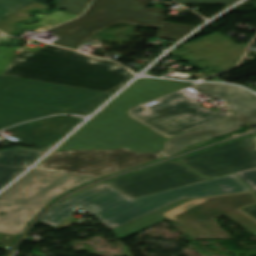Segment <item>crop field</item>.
<instances>
[{"label":"crop field","instance_id":"crop-field-1","mask_svg":"<svg viewBox=\"0 0 256 256\" xmlns=\"http://www.w3.org/2000/svg\"><path fill=\"white\" fill-rule=\"evenodd\" d=\"M247 191L248 188L235 175L134 199L128 198L105 183L56 205L40 220L44 224L57 226L80 207L95 214L109 228L114 229L181 198H200Z\"/></svg>","mask_w":256,"mask_h":256},{"label":"crop field","instance_id":"crop-field-2","mask_svg":"<svg viewBox=\"0 0 256 256\" xmlns=\"http://www.w3.org/2000/svg\"><path fill=\"white\" fill-rule=\"evenodd\" d=\"M136 82V81H135ZM194 83L139 79L113 100L60 150L130 147L136 152L162 149L167 139L126 115L130 107L185 88Z\"/></svg>","mask_w":256,"mask_h":256},{"label":"crop field","instance_id":"crop-field-3","mask_svg":"<svg viewBox=\"0 0 256 256\" xmlns=\"http://www.w3.org/2000/svg\"><path fill=\"white\" fill-rule=\"evenodd\" d=\"M1 75L111 94L133 76L110 61L49 45L13 54Z\"/></svg>","mask_w":256,"mask_h":256},{"label":"crop field","instance_id":"crop-field-4","mask_svg":"<svg viewBox=\"0 0 256 256\" xmlns=\"http://www.w3.org/2000/svg\"><path fill=\"white\" fill-rule=\"evenodd\" d=\"M109 96L0 75V129L51 113L86 115Z\"/></svg>","mask_w":256,"mask_h":256},{"label":"crop field","instance_id":"crop-field-5","mask_svg":"<svg viewBox=\"0 0 256 256\" xmlns=\"http://www.w3.org/2000/svg\"><path fill=\"white\" fill-rule=\"evenodd\" d=\"M93 179L33 169L0 195V233L21 235L51 200Z\"/></svg>","mask_w":256,"mask_h":256},{"label":"crop field","instance_id":"crop-field-6","mask_svg":"<svg viewBox=\"0 0 256 256\" xmlns=\"http://www.w3.org/2000/svg\"><path fill=\"white\" fill-rule=\"evenodd\" d=\"M256 204L252 192L191 200L163 215L177 221L190 233L192 239H233L220 229L214 218L227 216L256 235V220L239 209Z\"/></svg>","mask_w":256,"mask_h":256},{"label":"crop field","instance_id":"crop-field-7","mask_svg":"<svg viewBox=\"0 0 256 256\" xmlns=\"http://www.w3.org/2000/svg\"><path fill=\"white\" fill-rule=\"evenodd\" d=\"M148 2L149 0H93L81 18L49 30L62 35L52 44L80 51L82 41L91 35L85 28L94 25L108 26L119 21L160 27L164 8H146Z\"/></svg>","mask_w":256,"mask_h":256},{"label":"crop field","instance_id":"crop-field-8","mask_svg":"<svg viewBox=\"0 0 256 256\" xmlns=\"http://www.w3.org/2000/svg\"><path fill=\"white\" fill-rule=\"evenodd\" d=\"M127 115L169 138L231 114L202 108L193 101L192 93L184 89L159 99L156 104L130 108Z\"/></svg>","mask_w":256,"mask_h":256},{"label":"crop field","instance_id":"crop-field-9","mask_svg":"<svg viewBox=\"0 0 256 256\" xmlns=\"http://www.w3.org/2000/svg\"><path fill=\"white\" fill-rule=\"evenodd\" d=\"M215 86L219 87L220 89L215 91L202 83L197 84L193 88L213 99L221 98L229 102L230 104L226 107L234 110L238 114L183 135L171 138L164 143V150L160 151L159 153L165 157H168L181 151L188 145L235 131L240 129L242 124L256 122V95L236 86L220 84H215Z\"/></svg>","mask_w":256,"mask_h":256},{"label":"crop field","instance_id":"crop-field-10","mask_svg":"<svg viewBox=\"0 0 256 256\" xmlns=\"http://www.w3.org/2000/svg\"><path fill=\"white\" fill-rule=\"evenodd\" d=\"M159 158L162 156L157 153L138 154L125 148L110 151H59L36 168L100 178Z\"/></svg>","mask_w":256,"mask_h":256},{"label":"crop field","instance_id":"crop-field-11","mask_svg":"<svg viewBox=\"0 0 256 256\" xmlns=\"http://www.w3.org/2000/svg\"><path fill=\"white\" fill-rule=\"evenodd\" d=\"M197 173L214 178L256 167L254 138L244 139L179 160Z\"/></svg>","mask_w":256,"mask_h":256},{"label":"crop field","instance_id":"crop-field-12","mask_svg":"<svg viewBox=\"0 0 256 256\" xmlns=\"http://www.w3.org/2000/svg\"><path fill=\"white\" fill-rule=\"evenodd\" d=\"M203 180L177 161L153 167L108 182L130 198L143 196Z\"/></svg>","mask_w":256,"mask_h":256},{"label":"crop field","instance_id":"crop-field-13","mask_svg":"<svg viewBox=\"0 0 256 256\" xmlns=\"http://www.w3.org/2000/svg\"><path fill=\"white\" fill-rule=\"evenodd\" d=\"M81 119L55 116L5 130L14 133L12 137L30 143L36 148H46L59 139ZM73 128V127H72Z\"/></svg>","mask_w":256,"mask_h":256},{"label":"crop field","instance_id":"crop-field-14","mask_svg":"<svg viewBox=\"0 0 256 256\" xmlns=\"http://www.w3.org/2000/svg\"><path fill=\"white\" fill-rule=\"evenodd\" d=\"M223 37L224 35L215 32L181 47L225 70L239 62L244 49L224 40Z\"/></svg>","mask_w":256,"mask_h":256},{"label":"crop field","instance_id":"crop-field-15","mask_svg":"<svg viewBox=\"0 0 256 256\" xmlns=\"http://www.w3.org/2000/svg\"><path fill=\"white\" fill-rule=\"evenodd\" d=\"M48 8L29 0H0V30L10 34L15 32L16 22L31 20V10L46 11Z\"/></svg>","mask_w":256,"mask_h":256},{"label":"crop field","instance_id":"crop-field-16","mask_svg":"<svg viewBox=\"0 0 256 256\" xmlns=\"http://www.w3.org/2000/svg\"><path fill=\"white\" fill-rule=\"evenodd\" d=\"M42 151L19 148L0 152V187L36 159Z\"/></svg>","mask_w":256,"mask_h":256},{"label":"crop field","instance_id":"crop-field-17","mask_svg":"<svg viewBox=\"0 0 256 256\" xmlns=\"http://www.w3.org/2000/svg\"><path fill=\"white\" fill-rule=\"evenodd\" d=\"M189 200H191V199H181V200H179L175 203H172L166 207H163V208L153 211L147 215H144L140 218H137L131 222H128V223L114 229L113 231L119 239H122L130 234H133L143 228H146L154 223H157V222L165 219V217L162 215V213H164L176 206H179Z\"/></svg>","mask_w":256,"mask_h":256},{"label":"crop field","instance_id":"crop-field-18","mask_svg":"<svg viewBox=\"0 0 256 256\" xmlns=\"http://www.w3.org/2000/svg\"><path fill=\"white\" fill-rule=\"evenodd\" d=\"M36 15L40 19L38 23L23 25L21 27L41 32L57 24H60L62 22H65L67 20L77 17V16H73V15L62 13L55 10H53L50 15H43L39 13H36Z\"/></svg>","mask_w":256,"mask_h":256},{"label":"crop field","instance_id":"crop-field-19","mask_svg":"<svg viewBox=\"0 0 256 256\" xmlns=\"http://www.w3.org/2000/svg\"><path fill=\"white\" fill-rule=\"evenodd\" d=\"M192 28V26L163 22L156 37L177 40Z\"/></svg>","mask_w":256,"mask_h":256},{"label":"crop field","instance_id":"crop-field-20","mask_svg":"<svg viewBox=\"0 0 256 256\" xmlns=\"http://www.w3.org/2000/svg\"><path fill=\"white\" fill-rule=\"evenodd\" d=\"M90 0H58L56 7L64 9L69 13L80 15Z\"/></svg>","mask_w":256,"mask_h":256},{"label":"crop field","instance_id":"crop-field-21","mask_svg":"<svg viewBox=\"0 0 256 256\" xmlns=\"http://www.w3.org/2000/svg\"><path fill=\"white\" fill-rule=\"evenodd\" d=\"M22 48L21 47H7V46H0V74L4 67L6 66L7 62L11 58L12 54L14 51L21 52Z\"/></svg>","mask_w":256,"mask_h":256},{"label":"crop field","instance_id":"crop-field-22","mask_svg":"<svg viewBox=\"0 0 256 256\" xmlns=\"http://www.w3.org/2000/svg\"><path fill=\"white\" fill-rule=\"evenodd\" d=\"M236 175L252 190H256V169L236 173Z\"/></svg>","mask_w":256,"mask_h":256},{"label":"crop field","instance_id":"crop-field-23","mask_svg":"<svg viewBox=\"0 0 256 256\" xmlns=\"http://www.w3.org/2000/svg\"><path fill=\"white\" fill-rule=\"evenodd\" d=\"M179 3H195V4H232L238 0H175Z\"/></svg>","mask_w":256,"mask_h":256},{"label":"crop field","instance_id":"crop-field-24","mask_svg":"<svg viewBox=\"0 0 256 256\" xmlns=\"http://www.w3.org/2000/svg\"><path fill=\"white\" fill-rule=\"evenodd\" d=\"M256 194V192H255ZM245 212H247L248 214H250L251 216H253L254 218H256V205L255 206H252V207H249V208H246V209H243Z\"/></svg>","mask_w":256,"mask_h":256},{"label":"crop field","instance_id":"crop-field-25","mask_svg":"<svg viewBox=\"0 0 256 256\" xmlns=\"http://www.w3.org/2000/svg\"><path fill=\"white\" fill-rule=\"evenodd\" d=\"M102 28H104V27H102V26H95V27H89L86 30L92 34V33L96 32V31H98V30H100Z\"/></svg>","mask_w":256,"mask_h":256},{"label":"crop field","instance_id":"crop-field-26","mask_svg":"<svg viewBox=\"0 0 256 256\" xmlns=\"http://www.w3.org/2000/svg\"><path fill=\"white\" fill-rule=\"evenodd\" d=\"M33 1H36V2H38V3H41V4L46 5V6L49 7V5H48V0H33Z\"/></svg>","mask_w":256,"mask_h":256},{"label":"crop field","instance_id":"crop-field-27","mask_svg":"<svg viewBox=\"0 0 256 256\" xmlns=\"http://www.w3.org/2000/svg\"><path fill=\"white\" fill-rule=\"evenodd\" d=\"M1 34V33H0Z\"/></svg>","mask_w":256,"mask_h":256}]
</instances>
